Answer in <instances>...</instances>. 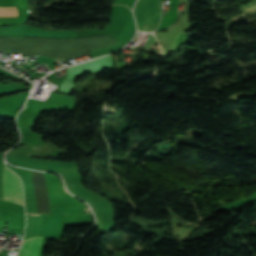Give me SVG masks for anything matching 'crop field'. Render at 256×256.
<instances>
[{"label": "crop field", "mask_w": 256, "mask_h": 256, "mask_svg": "<svg viewBox=\"0 0 256 256\" xmlns=\"http://www.w3.org/2000/svg\"><path fill=\"white\" fill-rule=\"evenodd\" d=\"M138 31L152 32L160 19V0H139L135 8Z\"/></svg>", "instance_id": "obj_1"}, {"label": "crop field", "mask_w": 256, "mask_h": 256, "mask_svg": "<svg viewBox=\"0 0 256 256\" xmlns=\"http://www.w3.org/2000/svg\"><path fill=\"white\" fill-rule=\"evenodd\" d=\"M3 193L4 199L24 205L21 182L18 176L6 168L5 165L3 170Z\"/></svg>", "instance_id": "obj_2"}, {"label": "crop field", "mask_w": 256, "mask_h": 256, "mask_svg": "<svg viewBox=\"0 0 256 256\" xmlns=\"http://www.w3.org/2000/svg\"><path fill=\"white\" fill-rule=\"evenodd\" d=\"M41 238L42 237L35 236L33 238L25 239L18 256H37Z\"/></svg>", "instance_id": "obj_3"}, {"label": "crop field", "mask_w": 256, "mask_h": 256, "mask_svg": "<svg viewBox=\"0 0 256 256\" xmlns=\"http://www.w3.org/2000/svg\"><path fill=\"white\" fill-rule=\"evenodd\" d=\"M83 68L94 66V68L97 67H103V66H113V56H105L101 58H97L85 63H82Z\"/></svg>", "instance_id": "obj_4"}, {"label": "crop field", "mask_w": 256, "mask_h": 256, "mask_svg": "<svg viewBox=\"0 0 256 256\" xmlns=\"http://www.w3.org/2000/svg\"><path fill=\"white\" fill-rule=\"evenodd\" d=\"M14 6H0V16H17Z\"/></svg>", "instance_id": "obj_5"}, {"label": "crop field", "mask_w": 256, "mask_h": 256, "mask_svg": "<svg viewBox=\"0 0 256 256\" xmlns=\"http://www.w3.org/2000/svg\"><path fill=\"white\" fill-rule=\"evenodd\" d=\"M31 215H38V214H31Z\"/></svg>", "instance_id": "obj_6"}]
</instances>
